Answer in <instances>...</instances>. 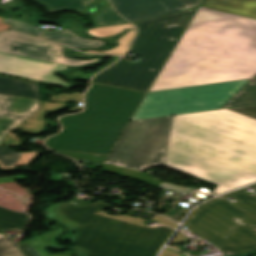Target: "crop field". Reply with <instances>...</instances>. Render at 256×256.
I'll return each mask as SVG.
<instances>
[{
  "label": "crop field",
  "mask_w": 256,
  "mask_h": 256,
  "mask_svg": "<svg viewBox=\"0 0 256 256\" xmlns=\"http://www.w3.org/2000/svg\"><path fill=\"white\" fill-rule=\"evenodd\" d=\"M125 28L132 29L134 27L131 24H126V25H118V26L103 27V28H93L88 30L87 33L95 37L105 38V37L114 36L124 31Z\"/></svg>",
  "instance_id": "obj_22"
},
{
  "label": "crop field",
  "mask_w": 256,
  "mask_h": 256,
  "mask_svg": "<svg viewBox=\"0 0 256 256\" xmlns=\"http://www.w3.org/2000/svg\"><path fill=\"white\" fill-rule=\"evenodd\" d=\"M1 77H5V76H1ZM6 78H11V77H6ZM11 79H16V78H11ZM16 80H20V79H16ZM21 81H26V80H21ZM26 82H30V81H26ZM31 83H35V82H31Z\"/></svg>",
  "instance_id": "obj_35"
},
{
  "label": "crop field",
  "mask_w": 256,
  "mask_h": 256,
  "mask_svg": "<svg viewBox=\"0 0 256 256\" xmlns=\"http://www.w3.org/2000/svg\"><path fill=\"white\" fill-rule=\"evenodd\" d=\"M256 187V184H254ZM238 202L215 198L197 207L184 226L204 236L228 256L256 250V196L241 189L220 196Z\"/></svg>",
  "instance_id": "obj_6"
},
{
  "label": "crop field",
  "mask_w": 256,
  "mask_h": 256,
  "mask_svg": "<svg viewBox=\"0 0 256 256\" xmlns=\"http://www.w3.org/2000/svg\"><path fill=\"white\" fill-rule=\"evenodd\" d=\"M2 22L12 26L13 28L11 30L24 32V33H28V34H32V35H36V36H40V37H42L45 32V31L34 29L33 25H29L27 23L20 22L18 20L11 19V18H7V19L3 20Z\"/></svg>",
  "instance_id": "obj_23"
},
{
  "label": "crop field",
  "mask_w": 256,
  "mask_h": 256,
  "mask_svg": "<svg viewBox=\"0 0 256 256\" xmlns=\"http://www.w3.org/2000/svg\"><path fill=\"white\" fill-rule=\"evenodd\" d=\"M69 66L52 64L0 52V72L32 80L68 87V83L53 74Z\"/></svg>",
  "instance_id": "obj_12"
},
{
  "label": "crop field",
  "mask_w": 256,
  "mask_h": 256,
  "mask_svg": "<svg viewBox=\"0 0 256 256\" xmlns=\"http://www.w3.org/2000/svg\"><path fill=\"white\" fill-rule=\"evenodd\" d=\"M256 79V75L253 77ZM256 104V83L247 82L221 109Z\"/></svg>",
  "instance_id": "obj_18"
},
{
  "label": "crop field",
  "mask_w": 256,
  "mask_h": 256,
  "mask_svg": "<svg viewBox=\"0 0 256 256\" xmlns=\"http://www.w3.org/2000/svg\"><path fill=\"white\" fill-rule=\"evenodd\" d=\"M25 179H28V178L24 175L15 176V177H8V178H0V184L8 183V182H14V181H20V180H25Z\"/></svg>",
  "instance_id": "obj_31"
},
{
  "label": "crop field",
  "mask_w": 256,
  "mask_h": 256,
  "mask_svg": "<svg viewBox=\"0 0 256 256\" xmlns=\"http://www.w3.org/2000/svg\"><path fill=\"white\" fill-rule=\"evenodd\" d=\"M248 80L147 92L131 121L220 109Z\"/></svg>",
  "instance_id": "obj_8"
},
{
  "label": "crop field",
  "mask_w": 256,
  "mask_h": 256,
  "mask_svg": "<svg viewBox=\"0 0 256 256\" xmlns=\"http://www.w3.org/2000/svg\"><path fill=\"white\" fill-rule=\"evenodd\" d=\"M0 94L14 95L28 98H40L36 84L6 79L0 77Z\"/></svg>",
  "instance_id": "obj_16"
},
{
  "label": "crop field",
  "mask_w": 256,
  "mask_h": 256,
  "mask_svg": "<svg viewBox=\"0 0 256 256\" xmlns=\"http://www.w3.org/2000/svg\"><path fill=\"white\" fill-rule=\"evenodd\" d=\"M82 93H74V94H61L52 97V100H70L76 101L77 107L72 108L71 110L81 109L82 107H78V102H81Z\"/></svg>",
  "instance_id": "obj_27"
},
{
  "label": "crop field",
  "mask_w": 256,
  "mask_h": 256,
  "mask_svg": "<svg viewBox=\"0 0 256 256\" xmlns=\"http://www.w3.org/2000/svg\"><path fill=\"white\" fill-rule=\"evenodd\" d=\"M44 6L48 13L61 10L83 11L93 0H33Z\"/></svg>",
  "instance_id": "obj_17"
},
{
  "label": "crop field",
  "mask_w": 256,
  "mask_h": 256,
  "mask_svg": "<svg viewBox=\"0 0 256 256\" xmlns=\"http://www.w3.org/2000/svg\"><path fill=\"white\" fill-rule=\"evenodd\" d=\"M111 207L101 201L75 207L66 202L60 213L81 224L72 244L88 250L90 256H156L174 229H151L131 217L102 216L95 212Z\"/></svg>",
  "instance_id": "obj_4"
},
{
  "label": "crop field",
  "mask_w": 256,
  "mask_h": 256,
  "mask_svg": "<svg viewBox=\"0 0 256 256\" xmlns=\"http://www.w3.org/2000/svg\"><path fill=\"white\" fill-rule=\"evenodd\" d=\"M202 6L256 19V0H204Z\"/></svg>",
  "instance_id": "obj_14"
},
{
  "label": "crop field",
  "mask_w": 256,
  "mask_h": 256,
  "mask_svg": "<svg viewBox=\"0 0 256 256\" xmlns=\"http://www.w3.org/2000/svg\"><path fill=\"white\" fill-rule=\"evenodd\" d=\"M31 214L15 213L0 207V231L25 228Z\"/></svg>",
  "instance_id": "obj_19"
},
{
  "label": "crop field",
  "mask_w": 256,
  "mask_h": 256,
  "mask_svg": "<svg viewBox=\"0 0 256 256\" xmlns=\"http://www.w3.org/2000/svg\"><path fill=\"white\" fill-rule=\"evenodd\" d=\"M172 117L129 122L102 166L103 170L158 187L159 182L142 171L164 165Z\"/></svg>",
  "instance_id": "obj_7"
},
{
  "label": "crop field",
  "mask_w": 256,
  "mask_h": 256,
  "mask_svg": "<svg viewBox=\"0 0 256 256\" xmlns=\"http://www.w3.org/2000/svg\"><path fill=\"white\" fill-rule=\"evenodd\" d=\"M101 1H102V0H94L92 3H93V4H101ZM108 5H110L109 2H108V0H105L104 6H103L102 8H100V9H98L97 12L95 13V15H96L99 11H101L102 9H104L105 7H107ZM88 8H89V6H88L84 11L88 12V11H87ZM84 11L81 12L82 15H86V14H87V13H85ZM89 13H90V12H89ZM95 15H90V18L93 20L94 26H95V27H98L97 22H96V20H95Z\"/></svg>",
  "instance_id": "obj_29"
},
{
  "label": "crop field",
  "mask_w": 256,
  "mask_h": 256,
  "mask_svg": "<svg viewBox=\"0 0 256 256\" xmlns=\"http://www.w3.org/2000/svg\"><path fill=\"white\" fill-rule=\"evenodd\" d=\"M36 153L21 154L0 146V165L3 170L15 169L17 165L27 164Z\"/></svg>",
  "instance_id": "obj_20"
},
{
  "label": "crop field",
  "mask_w": 256,
  "mask_h": 256,
  "mask_svg": "<svg viewBox=\"0 0 256 256\" xmlns=\"http://www.w3.org/2000/svg\"><path fill=\"white\" fill-rule=\"evenodd\" d=\"M96 20L100 27L128 23L115 13L111 5L99 12Z\"/></svg>",
  "instance_id": "obj_21"
},
{
  "label": "crop field",
  "mask_w": 256,
  "mask_h": 256,
  "mask_svg": "<svg viewBox=\"0 0 256 256\" xmlns=\"http://www.w3.org/2000/svg\"><path fill=\"white\" fill-rule=\"evenodd\" d=\"M63 230L64 229L60 228L56 231L42 234L32 240L18 244V246L27 256H71L74 252L69 250L56 254H49L46 251L47 247L58 244L56 238Z\"/></svg>",
  "instance_id": "obj_13"
},
{
  "label": "crop field",
  "mask_w": 256,
  "mask_h": 256,
  "mask_svg": "<svg viewBox=\"0 0 256 256\" xmlns=\"http://www.w3.org/2000/svg\"><path fill=\"white\" fill-rule=\"evenodd\" d=\"M1 237H4V235L0 234V238H1Z\"/></svg>",
  "instance_id": "obj_36"
},
{
  "label": "crop field",
  "mask_w": 256,
  "mask_h": 256,
  "mask_svg": "<svg viewBox=\"0 0 256 256\" xmlns=\"http://www.w3.org/2000/svg\"><path fill=\"white\" fill-rule=\"evenodd\" d=\"M165 165L219 184V194L256 181V105L177 115Z\"/></svg>",
  "instance_id": "obj_1"
},
{
  "label": "crop field",
  "mask_w": 256,
  "mask_h": 256,
  "mask_svg": "<svg viewBox=\"0 0 256 256\" xmlns=\"http://www.w3.org/2000/svg\"><path fill=\"white\" fill-rule=\"evenodd\" d=\"M115 9L135 22L201 5L203 0H111Z\"/></svg>",
  "instance_id": "obj_11"
},
{
  "label": "crop field",
  "mask_w": 256,
  "mask_h": 256,
  "mask_svg": "<svg viewBox=\"0 0 256 256\" xmlns=\"http://www.w3.org/2000/svg\"><path fill=\"white\" fill-rule=\"evenodd\" d=\"M0 256H23L21 252L13 246L12 242L7 238L0 239Z\"/></svg>",
  "instance_id": "obj_26"
},
{
  "label": "crop field",
  "mask_w": 256,
  "mask_h": 256,
  "mask_svg": "<svg viewBox=\"0 0 256 256\" xmlns=\"http://www.w3.org/2000/svg\"><path fill=\"white\" fill-rule=\"evenodd\" d=\"M134 35H135V30L129 31L126 35L122 36L120 39L117 40L119 45L109 51H105V52L85 51V52H88V53H111V54L125 55L126 51L128 50V44L133 39Z\"/></svg>",
  "instance_id": "obj_24"
},
{
  "label": "crop field",
  "mask_w": 256,
  "mask_h": 256,
  "mask_svg": "<svg viewBox=\"0 0 256 256\" xmlns=\"http://www.w3.org/2000/svg\"><path fill=\"white\" fill-rule=\"evenodd\" d=\"M256 20L200 7L148 92L250 78Z\"/></svg>",
  "instance_id": "obj_2"
},
{
  "label": "crop field",
  "mask_w": 256,
  "mask_h": 256,
  "mask_svg": "<svg viewBox=\"0 0 256 256\" xmlns=\"http://www.w3.org/2000/svg\"><path fill=\"white\" fill-rule=\"evenodd\" d=\"M160 188L169 190V191H174V192H188L191 190L189 188L179 187V186L165 184V183H162Z\"/></svg>",
  "instance_id": "obj_28"
},
{
  "label": "crop field",
  "mask_w": 256,
  "mask_h": 256,
  "mask_svg": "<svg viewBox=\"0 0 256 256\" xmlns=\"http://www.w3.org/2000/svg\"><path fill=\"white\" fill-rule=\"evenodd\" d=\"M185 239L186 237L182 233H177V235L174 237L170 244L182 243L185 241Z\"/></svg>",
  "instance_id": "obj_32"
},
{
  "label": "crop field",
  "mask_w": 256,
  "mask_h": 256,
  "mask_svg": "<svg viewBox=\"0 0 256 256\" xmlns=\"http://www.w3.org/2000/svg\"><path fill=\"white\" fill-rule=\"evenodd\" d=\"M64 203V202H63ZM61 204V203H60ZM55 205V206H52V207H49L47 209V214L50 216V218L56 222H59L65 226H74V227H82L81 225L63 217L59 211H58V207L59 205Z\"/></svg>",
  "instance_id": "obj_25"
},
{
  "label": "crop field",
  "mask_w": 256,
  "mask_h": 256,
  "mask_svg": "<svg viewBox=\"0 0 256 256\" xmlns=\"http://www.w3.org/2000/svg\"><path fill=\"white\" fill-rule=\"evenodd\" d=\"M44 38L52 41H56L59 43L67 44L76 49L96 48L105 44L104 41L82 39L76 36L75 34H73L72 32H70L69 30H65V29L46 33Z\"/></svg>",
  "instance_id": "obj_15"
},
{
  "label": "crop field",
  "mask_w": 256,
  "mask_h": 256,
  "mask_svg": "<svg viewBox=\"0 0 256 256\" xmlns=\"http://www.w3.org/2000/svg\"><path fill=\"white\" fill-rule=\"evenodd\" d=\"M146 92L93 83L83 113L60 121L61 134L46 140L52 150L109 155Z\"/></svg>",
  "instance_id": "obj_3"
},
{
  "label": "crop field",
  "mask_w": 256,
  "mask_h": 256,
  "mask_svg": "<svg viewBox=\"0 0 256 256\" xmlns=\"http://www.w3.org/2000/svg\"><path fill=\"white\" fill-rule=\"evenodd\" d=\"M76 56L78 57H82V58H90L92 55H86V54H81V53H78V52H75Z\"/></svg>",
  "instance_id": "obj_34"
},
{
  "label": "crop field",
  "mask_w": 256,
  "mask_h": 256,
  "mask_svg": "<svg viewBox=\"0 0 256 256\" xmlns=\"http://www.w3.org/2000/svg\"><path fill=\"white\" fill-rule=\"evenodd\" d=\"M197 9L136 23L139 33L131 51L142 61L120 60L92 82L148 91Z\"/></svg>",
  "instance_id": "obj_5"
},
{
  "label": "crop field",
  "mask_w": 256,
  "mask_h": 256,
  "mask_svg": "<svg viewBox=\"0 0 256 256\" xmlns=\"http://www.w3.org/2000/svg\"><path fill=\"white\" fill-rule=\"evenodd\" d=\"M150 219L155 220V221H157L161 224H164L166 226L173 227V228H176L178 226L177 224L173 223L172 221H170L164 217H161V216L155 215V216L151 217Z\"/></svg>",
  "instance_id": "obj_30"
},
{
  "label": "crop field",
  "mask_w": 256,
  "mask_h": 256,
  "mask_svg": "<svg viewBox=\"0 0 256 256\" xmlns=\"http://www.w3.org/2000/svg\"><path fill=\"white\" fill-rule=\"evenodd\" d=\"M63 105L42 100L41 109L37 110L39 100L0 95V145L19 143L11 133L15 129L39 133L44 125V113L57 110Z\"/></svg>",
  "instance_id": "obj_9"
},
{
  "label": "crop field",
  "mask_w": 256,
  "mask_h": 256,
  "mask_svg": "<svg viewBox=\"0 0 256 256\" xmlns=\"http://www.w3.org/2000/svg\"><path fill=\"white\" fill-rule=\"evenodd\" d=\"M62 48V45L16 32L0 34L1 52L52 63L66 64L74 67L93 63L99 60L92 59L90 61H82L68 59L63 56Z\"/></svg>",
  "instance_id": "obj_10"
},
{
  "label": "crop field",
  "mask_w": 256,
  "mask_h": 256,
  "mask_svg": "<svg viewBox=\"0 0 256 256\" xmlns=\"http://www.w3.org/2000/svg\"><path fill=\"white\" fill-rule=\"evenodd\" d=\"M181 254L176 253L170 249H165L162 256H180Z\"/></svg>",
  "instance_id": "obj_33"
}]
</instances>
